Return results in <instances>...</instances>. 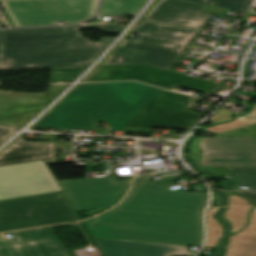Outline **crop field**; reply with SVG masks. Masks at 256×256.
<instances>
[{
    "mask_svg": "<svg viewBox=\"0 0 256 256\" xmlns=\"http://www.w3.org/2000/svg\"><path fill=\"white\" fill-rule=\"evenodd\" d=\"M197 100L135 82L82 84L33 127L90 130L98 121L117 131L125 126L188 130L206 116L187 110Z\"/></svg>",
    "mask_w": 256,
    "mask_h": 256,
    "instance_id": "1",
    "label": "crop field"
},
{
    "mask_svg": "<svg viewBox=\"0 0 256 256\" xmlns=\"http://www.w3.org/2000/svg\"><path fill=\"white\" fill-rule=\"evenodd\" d=\"M144 175L112 210L84 221L92 237L200 247L208 194L162 190Z\"/></svg>",
    "mask_w": 256,
    "mask_h": 256,
    "instance_id": "2",
    "label": "crop field"
},
{
    "mask_svg": "<svg viewBox=\"0 0 256 256\" xmlns=\"http://www.w3.org/2000/svg\"><path fill=\"white\" fill-rule=\"evenodd\" d=\"M119 25L2 30L0 69L87 66L114 39H84L81 29L96 28L114 34Z\"/></svg>",
    "mask_w": 256,
    "mask_h": 256,
    "instance_id": "3",
    "label": "crop field"
},
{
    "mask_svg": "<svg viewBox=\"0 0 256 256\" xmlns=\"http://www.w3.org/2000/svg\"><path fill=\"white\" fill-rule=\"evenodd\" d=\"M199 30L144 23L135 33L137 42L127 40L102 65L146 64L171 71Z\"/></svg>",
    "mask_w": 256,
    "mask_h": 256,
    "instance_id": "4",
    "label": "crop field"
},
{
    "mask_svg": "<svg viewBox=\"0 0 256 256\" xmlns=\"http://www.w3.org/2000/svg\"><path fill=\"white\" fill-rule=\"evenodd\" d=\"M73 209L63 191L0 201V232L77 221Z\"/></svg>",
    "mask_w": 256,
    "mask_h": 256,
    "instance_id": "5",
    "label": "crop field"
},
{
    "mask_svg": "<svg viewBox=\"0 0 256 256\" xmlns=\"http://www.w3.org/2000/svg\"><path fill=\"white\" fill-rule=\"evenodd\" d=\"M16 27L79 23L94 15L98 0H0Z\"/></svg>",
    "mask_w": 256,
    "mask_h": 256,
    "instance_id": "6",
    "label": "crop field"
},
{
    "mask_svg": "<svg viewBox=\"0 0 256 256\" xmlns=\"http://www.w3.org/2000/svg\"><path fill=\"white\" fill-rule=\"evenodd\" d=\"M113 80H136L167 89L177 85L205 93L224 87L146 65L97 66L82 82Z\"/></svg>",
    "mask_w": 256,
    "mask_h": 256,
    "instance_id": "7",
    "label": "crop field"
},
{
    "mask_svg": "<svg viewBox=\"0 0 256 256\" xmlns=\"http://www.w3.org/2000/svg\"><path fill=\"white\" fill-rule=\"evenodd\" d=\"M189 151L196 166L256 167V139L202 137Z\"/></svg>",
    "mask_w": 256,
    "mask_h": 256,
    "instance_id": "8",
    "label": "crop field"
},
{
    "mask_svg": "<svg viewBox=\"0 0 256 256\" xmlns=\"http://www.w3.org/2000/svg\"><path fill=\"white\" fill-rule=\"evenodd\" d=\"M60 190L50 170L41 160L0 167V200Z\"/></svg>",
    "mask_w": 256,
    "mask_h": 256,
    "instance_id": "9",
    "label": "crop field"
},
{
    "mask_svg": "<svg viewBox=\"0 0 256 256\" xmlns=\"http://www.w3.org/2000/svg\"><path fill=\"white\" fill-rule=\"evenodd\" d=\"M130 183L113 184V178L58 182L74 210L110 207L124 197Z\"/></svg>",
    "mask_w": 256,
    "mask_h": 256,
    "instance_id": "10",
    "label": "crop field"
},
{
    "mask_svg": "<svg viewBox=\"0 0 256 256\" xmlns=\"http://www.w3.org/2000/svg\"><path fill=\"white\" fill-rule=\"evenodd\" d=\"M68 85H49L43 94L0 92V125L24 126Z\"/></svg>",
    "mask_w": 256,
    "mask_h": 256,
    "instance_id": "11",
    "label": "crop field"
},
{
    "mask_svg": "<svg viewBox=\"0 0 256 256\" xmlns=\"http://www.w3.org/2000/svg\"><path fill=\"white\" fill-rule=\"evenodd\" d=\"M11 234L0 243V256H68L50 227Z\"/></svg>",
    "mask_w": 256,
    "mask_h": 256,
    "instance_id": "12",
    "label": "crop field"
},
{
    "mask_svg": "<svg viewBox=\"0 0 256 256\" xmlns=\"http://www.w3.org/2000/svg\"><path fill=\"white\" fill-rule=\"evenodd\" d=\"M205 5L179 0H159L144 19L202 29L210 14L201 13Z\"/></svg>",
    "mask_w": 256,
    "mask_h": 256,
    "instance_id": "13",
    "label": "crop field"
},
{
    "mask_svg": "<svg viewBox=\"0 0 256 256\" xmlns=\"http://www.w3.org/2000/svg\"><path fill=\"white\" fill-rule=\"evenodd\" d=\"M105 256H194L197 251L184 246L94 238Z\"/></svg>",
    "mask_w": 256,
    "mask_h": 256,
    "instance_id": "14",
    "label": "crop field"
},
{
    "mask_svg": "<svg viewBox=\"0 0 256 256\" xmlns=\"http://www.w3.org/2000/svg\"><path fill=\"white\" fill-rule=\"evenodd\" d=\"M56 143L26 142L19 137L2 152L0 166L42 159L44 162H56Z\"/></svg>",
    "mask_w": 256,
    "mask_h": 256,
    "instance_id": "15",
    "label": "crop field"
},
{
    "mask_svg": "<svg viewBox=\"0 0 256 256\" xmlns=\"http://www.w3.org/2000/svg\"><path fill=\"white\" fill-rule=\"evenodd\" d=\"M226 249L224 256H256V208L252 210L249 226L232 235Z\"/></svg>",
    "mask_w": 256,
    "mask_h": 256,
    "instance_id": "16",
    "label": "crop field"
},
{
    "mask_svg": "<svg viewBox=\"0 0 256 256\" xmlns=\"http://www.w3.org/2000/svg\"><path fill=\"white\" fill-rule=\"evenodd\" d=\"M229 209L224 211V218L232 224V233H236L246 226L249 210L254 206L246 198L228 194Z\"/></svg>",
    "mask_w": 256,
    "mask_h": 256,
    "instance_id": "17",
    "label": "crop field"
},
{
    "mask_svg": "<svg viewBox=\"0 0 256 256\" xmlns=\"http://www.w3.org/2000/svg\"><path fill=\"white\" fill-rule=\"evenodd\" d=\"M199 170H206L228 175L238 183L235 189L240 186L249 187L248 190L256 192V168H212L198 167Z\"/></svg>",
    "mask_w": 256,
    "mask_h": 256,
    "instance_id": "18",
    "label": "crop field"
},
{
    "mask_svg": "<svg viewBox=\"0 0 256 256\" xmlns=\"http://www.w3.org/2000/svg\"><path fill=\"white\" fill-rule=\"evenodd\" d=\"M145 0H104L98 16L132 15L135 16Z\"/></svg>",
    "mask_w": 256,
    "mask_h": 256,
    "instance_id": "19",
    "label": "crop field"
},
{
    "mask_svg": "<svg viewBox=\"0 0 256 256\" xmlns=\"http://www.w3.org/2000/svg\"><path fill=\"white\" fill-rule=\"evenodd\" d=\"M86 67L51 68L50 83L74 81Z\"/></svg>",
    "mask_w": 256,
    "mask_h": 256,
    "instance_id": "20",
    "label": "crop field"
},
{
    "mask_svg": "<svg viewBox=\"0 0 256 256\" xmlns=\"http://www.w3.org/2000/svg\"><path fill=\"white\" fill-rule=\"evenodd\" d=\"M219 212V209L210 208L208 211V222H207V229H208V236H207V243L206 246L215 247L217 246L221 235H223L222 226L218 223L217 220L213 219L212 216Z\"/></svg>",
    "mask_w": 256,
    "mask_h": 256,
    "instance_id": "21",
    "label": "crop field"
},
{
    "mask_svg": "<svg viewBox=\"0 0 256 256\" xmlns=\"http://www.w3.org/2000/svg\"><path fill=\"white\" fill-rule=\"evenodd\" d=\"M184 1L207 5L205 0H184ZM207 1L209 6H212L210 5V2H212V3H216V5L213 7L226 8L228 10L246 13L248 9V3L250 0H207Z\"/></svg>",
    "mask_w": 256,
    "mask_h": 256,
    "instance_id": "22",
    "label": "crop field"
},
{
    "mask_svg": "<svg viewBox=\"0 0 256 256\" xmlns=\"http://www.w3.org/2000/svg\"><path fill=\"white\" fill-rule=\"evenodd\" d=\"M252 123H256V120H252V119L247 118L243 115L239 119H235L232 122L224 123V124H220V125H216V126H212V127H208V128H204V129H201L200 131H206V132H211V133L218 134V133H221V132H224V131H228V130H231V129H234V128L242 127V126L249 125V124H252Z\"/></svg>",
    "mask_w": 256,
    "mask_h": 256,
    "instance_id": "23",
    "label": "crop field"
},
{
    "mask_svg": "<svg viewBox=\"0 0 256 256\" xmlns=\"http://www.w3.org/2000/svg\"><path fill=\"white\" fill-rule=\"evenodd\" d=\"M219 135L241 138H256V124L234 129L225 133H221Z\"/></svg>",
    "mask_w": 256,
    "mask_h": 256,
    "instance_id": "24",
    "label": "crop field"
},
{
    "mask_svg": "<svg viewBox=\"0 0 256 256\" xmlns=\"http://www.w3.org/2000/svg\"><path fill=\"white\" fill-rule=\"evenodd\" d=\"M231 113H235V112H231V111H227V110H223L221 108H219L209 119L208 122L215 124V123H219V122H223V121H227V120H231L233 118H231ZM237 114V116L241 115V113H235Z\"/></svg>",
    "mask_w": 256,
    "mask_h": 256,
    "instance_id": "25",
    "label": "crop field"
},
{
    "mask_svg": "<svg viewBox=\"0 0 256 256\" xmlns=\"http://www.w3.org/2000/svg\"><path fill=\"white\" fill-rule=\"evenodd\" d=\"M238 194L243 197H246L249 201H251L254 205H256V193L238 191Z\"/></svg>",
    "mask_w": 256,
    "mask_h": 256,
    "instance_id": "26",
    "label": "crop field"
},
{
    "mask_svg": "<svg viewBox=\"0 0 256 256\" xmlns=\"http://www.w3.org/2000/svg\"><path fill=\"white\" fill-rule=\"evenodd\" d=\"M21 127H7V126H0V134L10 133L17 131Z\"/></svg>",
    "mask_w": 256,
    "mask_h": 256,
    "instance_id": "27",
    "label": "crop field"
},
{
    "mask_svg": "<svg viewBox=\"0 0 256 256\" xmlns=\"http://www.w3.org/2000/svg\"><path fill=\"white\" fill-rule=\"evenodd\" d=\"M251 107L252 109L248 111L246 114L253 118H256V103L252 104Z\"/></svg>",
    "mask_w": 256,
    "mask_h": 256,
    "instance_id": "28",
    "label": "crop field"
},
{
    "mask_svg": "<svg viewBox=\"0 0 256 256\" xmlns=\"http://www.w3.org/2000/svg\"><path fill=\"white\" fill-rule=\"evenodd\" d=\"M12 134H9V135H2V136H0V144L2 143V142H4L8 137H10Z\"/></svg>",
    "mask_w": 256,
    "mask_h": 256,
    "instance_id": "29",
    "label": "crop field"
},
{
    "mask_svg": "<svg viewBox=\"0 0 256 256\" xmlns=\"http://www.w3.org/2000/svg\"><path fill=\"white\" fill-rule=\"evenodd\" d=\"M3 241H4V239H3V237L0 234V242H3Z\"/></svg>",
    "mask_w": 256,
    "mask_h": 256,
    "instance_id": "30",
    "label": "crop field"
},
{
    "mask_svg": "<svg viewBox=\"0 0 256 256\" xmlns=\"http://www.w3.org/2000/svg\"><path fill=\"white\" fill-rule=\"evenodd\" d=\"M0 33H1V30H0Z\"/></svg>",
    "mask_w": 256,
    "mask_h": 256,
    "instance_id": "31",
    "label": "crop field"
},
{
    "mask_svg": "<svg viewBox=\"0 0 256 256\" xmlns=\"http://www.w3.org/2000/svg\"><path fill=\"white\" fill-rule=\"evenodd\" d=\"M256 207V206H255Z\"/></svg>",
    "mask_w": 256,
    "mask_h": 256,
    "instance_id": "32",
    "label": "crop field"
},
{
    "mask_svg": "<svg viewBox=\"0 0 256 256\" xmlns=\"http://www.w3.org/2000/svg\"><path fill=\"white\" fill-rule=\"evenodd\" d=\"M207 2V1H206Z\"/></svg>",
    "mask_w": 256,
    "mask_h": 256,
    "instance_id": "33",
    "label": "crop field"
}]
</instances>
